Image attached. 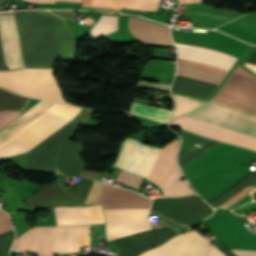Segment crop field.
<instances>
[{
	"label": "crop field",
	"instance_id": "crop-field-3",
	"mask_svg": "<svg viewBox=\"0 0 256 256\" xmlns=\"http://www.w3.org/2000/svg\"><path fill=\"white\" fill-rule=\"evenodd\" d=\"M14 13L25 67L52 68L59 54L50 13L46 11Z\"/></svg>",
	"mask_w": 256,
	"mask_h": 256
},
{
	"label": "crop field",
	"instance_id": "crop-field-35",
	"mask_svg": "<svg viewBox=\"0 0 256 256\" xmlns=\"http://www.w3.org/2000/svg\"><path fill=\"white\" fill-rule=\"evenodd\" d=\"M207 256H224L219 250H217L214 246H211Z\"/></svg>",
	"mask_w": 256,
	"mask_h": 256
},
{
	"label": "crop field",
	"instance_id": "crop-field-1",
	"mask_svg": "<svg viewBox=\"0 0 256 256\" xmlns=\"http://www.w3.org/2000/svg\"><path fill=\"white\" fill-rule=\"evenodd\" d=\"M27 98L0 89V110L21 111ZM56 103L42 101L0 131V144L47 112ZM82 108L57 103L47 113L0 145V157L25 153L68 123Z\"/></svg>",
	"mask_w": 256,
	"mask_h": 256
},
{
	"label": "crop field",
	"instance_id": "crop-field-25",
	"mask_svg": "<svg viewBox=\"0 0 256 256\" xmlns=\"http://www.w3.org/2000/svg\"><path fill=\"white\" fill-rule=\"evenodd\" d=\"M133 112L139 113L143 116L150 117L156 120H160L163 122H166L169 114L171 111L161 109V108H155V107H149V106H143L139 104L133 103Z\"/></svg>",
	"mask_w": 256,
	"mask_h": 256
},
{
	"label": "crop field",
	"instance_id": "crop-field-36",
	"mask_svg": "<svg viewBox=\"0 0 256 256\" xmlns=\"http://www.w3.org/2000/svg\"><path fill=\"white\" fill-rule=\"evenodd\" d=\"M33 1L36 3H54V0H29ZM63 1H76V2H81V0H63Z\"/></svg>",
	"mask_w": 256,
	"mask_h": 256
},
{
	"label": "crop field",
	"instance_id": "crop-field-29",
	"mask_svg": "<svg viewBox=\"0 0 256 256\" xmlns=\"http://www.w3.org/2000/svg\"><path fill=\"white\" fill-rule=\"evenodd\" d=\"M19 114L17 111H0V129L11 123Z\"/></svg>",
	"mask_w": 256,
	"mask_h": 256
},
{
	"label": "crop field",
	"instance_id": "crop-field-32",
	"mask_svg": "<svg viewBox=\"0 0 256 256\" xmlns=\"http://www.w3.org/2000/svg\"><path fill=\"white\" fill-rule=\"evenodd\" d=\"M249 192L248 189H243L241 192H239L238 194H236L234 197H232L231 199H229L227 202H225L224 204H222L220 207H230L232 204H234L235 202H237L239 199H241L242 197H244L245 195H247Z\"/></svg>",
	"mask_w": 256,
	"mask_h": 256
},
{
	"label": "crop field",
	"instance_id": "crop-field-19",
	"mask_svg": "<svg viewBox=\"0 0 256 256\" xmlns=\"http://www.w3.org/2000/svg\"><path fill=\"white\" fill-rule=\"evenodd\" d=\"M152 208L164 216L187 225H191L199 219L191 211L172 198L154 199Z\"/></svg>",
	"mask_w": 256,
	"mask_h": 256
},
{
	"label": "crop field",
	"instance_id": "crop-field-12",
	"mask_svg": "<svg viewBox=\"0 0 256 256\" xmlns=\"http://www.w3.org/2000/svg\"><path fill=\"white\" fill-rule=\"evenodd\" d=\"M0 31L7 69L24 67L14 14L0 16ZM0 37V70H5V61Z\"/></svg>",
	"mask_w": 256,
	"mask_h": 256
},
{
	"label": "crop field",
	"instance_id": "crop-field-4",
	"mask_svg": "<svg viewBox=\"0 0 256 256\" xmlns=\"http://www.w3.org/2000/svg\"><path fill=\"white\" fill-rule=\"evenodd\" d=\"M176 45L178 47V57L181 58L210 63L227 70H229L236 61V58L208 49L177 43ZM198 61L178 58L177 75L219 84L227 73V70Z\"/></svg>",
	"mask_w": 256,
	"mask_h": 256
},
{
	"label": "crop field",
	"instance_id": "crop-field-24",
	"mask_svg": "<svg viewBox=\"0 0 256 256\" xmlns=\"http://www.w3.org/2000/svg\"><path fill=\"white\" fill-rule=\"evenodd\" d=\"M174 199L187 207L200 218L211 212V210L196 195Z\"/></svg>",
	"mask_w": 256,
	"mask_h": 256
},
{
	"label": "crop field",
	"instance_id": "crop-field-20",
	"mask_svg": "<svg viewBox=\"0 0 256 256\" xmlns=\"http://www.w3.org/2000/svg\"><path fill=\"white\" fill-rule=\"evenodd\" d=\"M52 15L61 59L75 55L73 30L60 17Z\"/></svg>",
	"mask_w": 256,
	"mask_h": 256
},
{
	"label": "crop field",
	"instance_id": "crop-field-38",
	"mask_svg": "<svg viewBox=\"0 0 256 256\" xmlns=\"http://www.w3.org/2000/svg\"><path fill=\"white\" fill-rule=\"evenodd\" d=\"M245 66H247L249 69H251L253 72L256 73V65H251V64H247V63H246Z\"/></svg>",
	"mask_w": 256,
	"mask_h": 256
},
{
	"label": "crop field",
	"instance_id": "crop-field-16",
	"mask_svg": "<svg viewBox=\"0 0 256 256\" xmlns=\"http://www.w3.org/2000/svg\"><path fill=\"white\" fill-rule=\"evenodd\" d=\"M91 226L57 227L53 253L79 252L89 246Z\"/></svg>",
	"mask_w": 256,
	"mask_h": 256
},
{
	"label": "crop field",
	"instance_id": "crop-field-7",
	"mask_svg": "<svg viewBox=\"0 0 256 256\" xmlns=\"http://www.w3.org/2000/svg\"><path fill=\"white\" fill-rule=\"evenodd\" d=\"M93 180L80 178L75 189L72 190L57 180L41 187L34 195L24 199L32 208L57 204H83Z\"/></svg>",
	"mask_w": 256,
	"mask_h": 256
},
{
	"label": "crop field",
	"instance_id": "crop-field-27",
	"mask_svg": "<svg viewBox=\"0 0 256 256\" xmlns=\"http://www.w3.org/2000/svg\"><path fill=\"white\" fill-rule=\"evenodd\" d=\"M102 185H103L102 183L94 180L84 205H90V204L96 203V200L98 198Z\"/></svg>",
	"mask_w": 256,
	"mask_h": 256
},
{
	"label": "crop field",
	"instance_id": "crop-field-31",
	"mask_svg": "<svg viewBox=\"0 0 256 256\" xmlns=\"http://www.w3.org/2000/svg\"><path fill=\"white\" fill-rule=\"evenodd\" d=\"M137 86L169 91L171 85L161 83H150L140 80Z\"/></svg>",
	"mask_w": 256,
	"mask_h": 256
},
{
	"label": "crop field",
	"instance_id": "crop-field-15",
	"mask_svg": "<svg viewBox=\"0 0 256 256\" xmlns=\"http://www.w3.org/2000/svg\"><path fill=\"white\" fill-rule=\"evenodd\" d=\"M151 199L129 190L103 185L96 204L105 209L149 208Z\"/></svg>",
	"mask_w": 256,
	"mask_h": 256
},
{
	"label": "crop field",
	"instance_id": "crop-field-5",
	"mask_svg": "<svg viewBox=\"0 0 256 256\" xmlns=\"http://www.w3.org/2000/svg\"><path fill=\"white\" fill-rule=\"evenodd\" d=\"M0 86L25 96L64 101L51 70L22 69L0 72Z\"/></svg>",
	"mask_w": 256,
	"mask_h": 256
},
{
	"label": "crop field",
	"instance_id": "crop-field-28",
	"mask_svg": "<svg viewBox=\"0 0 256 256\" xmlns=\"http://www.w3.org/2000/svg\"><path fill=\"white\" fill-rule=\"evenodd\" d=\"M116 181L123 182V183L129 184L131 186L138 188L142 181V178L133 176L131 174H128V173L122 171Z\"/></svg>",
	"mask_w": 256,
	"mask_h": 256
},
{
	"label": "crop field",
	"instance_id": "crop-field-18",
	"mask_svg": "<svg viewBox=\"0 0 256 256\" xmlns=\"http://www.w3.org/2000/svg\"><path fill=\"white\" fill-rule=\"evenodd\" d=\"M129 28L131 33L142 42L174 45L167 27L130 18Z\"/></svg>",
	"mask_w": 256,
	"mask_h": 256
},
{
	"label": "crop field",
	"instance_id": "crop-field-9",
	"mask_svg": "<svg viewBox=\"0 0 256 256\" xmlns=\"http://www.w3.org/2000/svg\"><path fill=\"white\" fill-rule=\"evenodd\" d=\"M213 100L256 112V80L232 73Z\"/></svg>",
	"mask_w": 256,
	"mask_h": 256
},
{
	"label": "crop field",
	"instance_id": "crop-field-30",
	"mask_svg": "<svg viewBox=\"0 0 256 256\" xmlns=\"http://www.w3.org/2000/svg\"><path fill=\"white\" fill-rule=\"evenodd\" d=\"M12 226L8 215L0 211V234L12 230Z\"/></svg>",
	"mask_w": 256,
	"mask_h": 256
},
{
	"label": "crop field",
	"instance_id": "crop-field-22",
	"mask_svg": "<svg viewBox=\"0 0 256 256\" xmlns=\"http://www.w3.org/2000/svg\"><path fill=\"white\" fill-rule=\"evenodd\" d=\"M172 95L175 102V106L169 122H171L176 117L193 110L194 108L198 107L199 105L205 102V101H201V100H197V99H193V98H189V97H185V96H181L173 93Z\"/></svg>",
	"mask_w": 256,
	"mask_h": 256
},
{
	"label": "crop field",
	"instance_id": "crop-field-14",
	"mask_svg": "<svg viewBox=\"0 0 256 256\" xmlns=\"http://www.w3.org/2000/svg\"><path fill=\"white\" fill-rule=\"evenodd\" d=\"M56 227H34L17 238L13 248L39 256H52Z\"/></svg>",
	"mask_w": 256,
	"mask_h": 256
},
{
	"label": "crop field",
	"instance_id": "crop-field-37",
	"mask_svg": "<svg viewBox=\"0 0 256 256\" xmlns=\"http://www.w3.org/2000/svg\"><path fill=\"white\" fill-rule=\"evenodd\" d=\"M180 1H181V4L202 2V0H180Z\"/></svg>",
	"mask_w": 256,
	"mask_h": 256
},
{
	"label": "crop field",
	"instance_id": "crop-field-39",
	"mask_svg": "<svg viewBox=\"0 0 256 256\" xmlns=\"http://www.w3.org/2000/svg\"><path fill=\"white\" fill-rule=\"evenodd\" d=\"M226 256H235L233 253H231L229 250L224 251Z\"/></svg>",
	"mask_w": 256,
	"mask_h": 256
},
{
	"label": "crop field",
	"instance_id": "crop-field-33",
	"mask_svg": "<svg viewBox=\"0 0 256 256\" xmlns=\"http://www.w3.org/2000/svg\"><path fill=\"white\" fill-rule=\"evenodd\" d=\"M238 256H256V251H240V250H231Z\"/></svg>",
	"mask_w": 256,
	"mask_h": 256
},
{
	"label": "crop field",
	"instance_id": "crop-field-26",
	"mask_svg": "<svg viewBox=\"0 0 256 256\" xmlns=\"http://www.w3.org/2000/svg\"><path fill=\"white\" fill-rule=\"evenodd\" d=\"M229 24L256 35V12L245 15Z\"/></svg>",
	"mask_w": 256,
	"mask_h": 256
},
{
	"label": "crop field",
	"instance_id": "crop-field-2",
	"mask_svg": "<svg viewBox=\"0 0 256 256\" xmlns=\"http://www.w3.org/2000/svg\"><path fill=\"white\" fill-rule=\"evenodd\" d=\"M179 143L180 141L177 140L171 146L178 147ZM143 146L139 141L126 139L115 167L131 172ZM171 146H166L160 150L145 145L131 173L146 178L160 150L147 179L159 185L164 196L193 194L194 192L186 180L179 181L182 174L175 160L178 148Z\"/></svg>",
	"mask_w": 256,
	"mask_h": 256
},
{
	"label": "crop field",
	"instance_id": "crop-field-10",
	"mask_svg": "<svg viewBox=\"0 0 256 256\" xmlns=\"http://www.w3.org/2000/svg\"><path fill=\"white\" fill-rule=\"evenodd\" d=\"M210 243L198 232L180 234L140 256H204Z\"/></svg>",
	"mask_w": 256,
	"mask_h": 256
},
{
	"label": "crop field",
	"instance_id": "crop-field-8",
	"mask_svg": "<svg viewBox=\"0 0 256 256\" xmlns=\"http://www.w3.org/2000/svg\"><path fill=\"white\" fill-rule=\"evenodd\" d=\"M148 210H105L107 241L147 229H153L147 221Z\"/></svg>",
	"mask_w": 256,
	"mask_h": 256
},
{
	"label": "crop field",
	"instance_id": "crop-field-11",
	"mask_svg": "<svg viewBox=\"0 0 256 256\" xmlns=\"http://www.w3.org/2000/svg\"><path fill=\"white\" fill-rule=\"evenodd\" d=\"M171 123L174 126H178L210 138L256 150V138L241 133H237L186 116H183Z\"/></svg>",
	"mask_w": 256,
	"mask_h": 256
},
{
	"label": "crop field",
	"instance_id": "crop-field-17",
	"mask_svg": "<svg viewBox=\"0 0 256 256\" xmlns=\"http://www.w3.org/2000/svg\"><path fill=\"white\" fill-rule=\"evenodd\" d=\"M58 225L105 223L101 205L55 208Z\"/></svg>",
	"mask_w": 256,
	"mask_h": 256
},
{
	"label": "crop field",
	"instance_id": "crop-field-6",
	"mask_svg": "<svg viewBox=\"0 0 256 256\" xmlns=\"http://www.w3.org/2000/svg\"><path fill=\"white\" fill-rule=\"evenodd\" d=\"M186 116L256 137V114L213 100Z\"/></svg>",
	"mask_w": 256,
	"mask_h": 256
},
{
	"label": "crop field",
	"instance_id": "crop-field-34",
	"mask_svg": "<svg viewBox=\"0 0 256 256\" xmlns=\"http://www.w3.org/2000/svg\"><path fill=\"white\" fill-rule=\"evenodd\" d=\"M53 13H55L63 18H72L75 11H53Z\"/></svg>",
	"mask_w": 256,
	"mask_h": 256
},
{
	"label": "crop field",
	"instance_id": "crop-field-13",
	"mask_svg": "<svg viewBox=\"0 0 256 256\" xmlns=\"http://www.w3.org/2000/svg\"><path fill=\"white\" fill-rule=\"evenodd\" d=\"M176 233L169 228H164L113 240L112 242L118 252V256H135L147 248L166 241Z\"/></svg>",
	"mask_w": 256,
	"mask_h": 256
},
{
	"label": "crop field",
	"instance_id": "crop-field-21",
	"mask_svg": "<svg viewBox=\"0 0 256 256\" xmlns=\"http://www.w3.org/2000/svg\"><path fill=\"white\" fill-rule=\"evenodd\" d=\"M159 1L160 0H93L92 5L150 12L157 9Z\"/></svg>",
	"mask_w": 256,
	"mask_h": 256
},
{
	"label": "crop field",
	"instance_id": "crop-field-23",
	"mask_svg": "<svg viewBox=\"0 0 256 256\" xmlns=\"http://www.w3.org/2000/svg\"><path fill=\"white\" fill-rule=\"evenodd\" d=\"M117 23L118 17L102 15L90 33L97 40L103 35L116 31Z\"/></svg>",
	"mask_w": 256,
	"mask_h": 256
}]
</instances>
